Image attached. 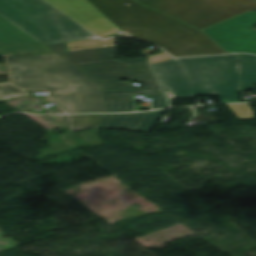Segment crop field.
Wrapping results in <instances>:
<instances>
[{
    "label": "crop field",
    "mask_w": 256,
    "mask_h": 256,
    "mask_svg": "<svg viewBox=\"0 0 256 256\" xmlns=\"http://www.w3.org/2000/svg\"><path fill=\"white\" fill-rule=\"evenodd\" d=\"M7 60L13 85L49 90L52 100L66 113L104 112L100 86L59 55L17 56Z\"/></svg>",
    "instance_id": "obj_1"
},
{
    "label": "crop field",
    "mask_w": 256,
    "mask_h": 256,
    "mask_svg": "<svg viewBox=\"0 0 256 256\" xmlns=\"http://www.w3.org/2000/svg\"><path fill=\"white\" fill-rule=\"evenodd\" d=\"M88 1L127 35L161 45L175 57L226 53L198 29L134 0Z\"/></svg>",
    "instance_id": "obj_2"
},
{
    "label": "crop field",
    "mask_w": 256,
    "mask_h": 256,
    "mask_svg": "<svg viewBox=\"0 0 256 256\" xmlns=\"http://www.w3.org/2000/svg\"><path fill=\"white\" fill-rule=\"evenodd\" d=\"M153 68L171 104L173 99L197 95L220 96L221 103L239 102L238 55L171 59Z\"/></svg>",
    "instance_id": "obj_3"
},
{
    "label": "crop field",
    "mask_w": 256,
    "mask_h": 256,
    "mask_svg": "<svg viewBox=\"0 0 256 256\" xmlns=\"http://www.w3.org/2000/svg\"><path fill=\"white\" fill-rule=\"evenodd\" d=\"M48 46L102 86L106 112L136 111L140 90L118 79L156 80L146 58L118 61L115 47L66 52V43Z\"/></svg>",
    "instance_id": "obj_4"
},
{
    "label": "crop field",
    "mask_w": 256,
    "mask_h": 256,
    "mask_svg": "<svg viewBox=\"0 0 256 256\" xmlns=\"http://www.w3.org/2000/svg\"><path fill=\"white\" fill-rule=\"evenodd\" d=\"M0 14L42 43L96 37L44 0H0Z\"/></svg>",
    "instance_id": "obj_5"
},
{
    "label": "crop field",
    "mask_w": 256,
    "mask_h": 256,
    "mask_svg": "<svg viewBox=\"0 0 256 256\" xmlns=\"http://www.w3.org/2000/svg\"><path fill=\"white\" fill-rule=\"evenodd\" d=\"M200 30L256 8V0H139Z\"/></svg>",
    "instance_id": "obj_6"
},
{
    "label": "crop field",
    "mask_w": 256,
    "mask_h": 256,
    "mask_svg": "<svg viewBox=\"0 0 256 256\" xmlns=\"http://www.w3.org/2000/svg\"><path fill=\"white\" fill-rule=\"evenodd\" d=\"M256 12H247L204 31L228 53L256 54ZM208 36V37H209Z\"/></svg>",
    "instance_id": "obj_7"
},
{
    "label": "crop field",
    "mask_w": 256,
    "mask_h": 256,
    "mask_svg": "<svg viewBox=\"0 0 256 256\" xmlns=\"http://www.w3.org/2000/svg\"><path fill=\"white\" fill-rule=\"evenodd\" d=\"M45 1L98 37H103L120 30L87 0Z\"/></svg>",
    "instance_id": "obj_8"
},
{
    "label": "crop field",
    "mask_w": 256,
    "mask_h": 256,
    "mask_svg": "<svg viewBox=\"0 0 256 256\" xmlns=\"http://www.w3.org/2000/svg\"><path fill=\"white\" fill-rule=\"evenodd\" d=\"M39 42L0 15V57L45 54Z\"/></svg>",
    "instance_id": "obj_9"
},
{
    "label": "crop field",
    "mask_w": 256,
    "mask_h": 256,
    "mask_svg": "<svg viewBox=\"0 0 256 256\" xmlns=\"http://www.w3.org/2000/svg\"><path fill=\"white\" fill-rule=\"evenodd\" d=\"M163 111L106 115L100 128H124L148 133L151 132Z\"/></svg>",
    "instance_id": "obj_10"
},
{
    "label": "crop field",
    "mask_w": 256,
    "mask_h": 256,
    "mask_svg": "<svg viewBox=\"0 0 256 256\" xmlns=\"http://www.w3.org/2000/svg\"><path fill=\"white\" fill-rule=\"evenodd\" d=\"M243 87L250 89L251 83H256V56L240 55Z\"/></svg>",
    "instance_id": "obj_11"
},
{
    "label": "crop field",
    "mask_w": 256,
    "mask_h": 256,
    "mask_svg": "<svg viewBox=\"0 0 256 256\" xmlns=\"http://www.w3.org/2000/svg\"><path fill=\"white\" fill-rule=\"evenodd\" d=\"M103 115H72L66 116L69 120L70 131L86 130L98 127Z\"/></svg>",
    "instance_id": "obj_12"
},
{
    "label": "crop field",
    "mask_w": 256,
    "mask_h": 256,
    "mask_svg": "<svg viewBox=\"0 0 256 256\" xmlns=\"http://www.w3.org/2000/svg\"><path fill=\"white\" fill-rule=\"evenodd\" d=\"M70 51L74 50H83V49H92V48H102V47H111L115 46V38L108 40H95V41H84V42H73L67 43ZM71 46H80L77 49H71Z\"/></svg>",
    "instance_id": "obj_13"
},
{
    "label": "crop field",
    "mask_w": 256,
    "mask_h": 256,
    "mask_svg": "<svg viewBox=\"0 0 256 256\" xmlns=\"http://www.w3.org/2000/svg\"><path fill=\"white\" fill-rule=\"evenodd\" d=\"M32 97L28 93L23 90H19L13 86L9 82L0 84V98L5 101L16 99V98H28Z\"/></svg>",
    "instance_id": "obj_14"
},
{
    "label": "crop field",
    "mask_w": 256,
    "mask_h": 256,
    "mask_svg": "<svg viewBox=\"0 0 256 256\" xmlns=\"http://www.w3.org/2000/svg\"><path fill=\"white\" fill-rule=\"evenodd\" d=\"M146 85L141 89L142 94H162L156 81H139Z\"/></svg>",
    "instance_id": "obj_15"
},
{
    "label": "crop field",
    "mask_w": 256,
    "mask_h": 256,
    "mask_svg": "<svg viewBox=\"0 0 256 256\" xmlns=\"http://www.w3.org/2000/svg\"><path fill=\"white\" fill-rule=\"evenodd\" d=\"M154 109L169 107L163 95H152Z\"/></svg>",
    "instance_id": "obj_16"
},
{
    "label": "crop field",
    "mask_w": 256,
    "mask_h": 256,
    "mask_svg": "<svg viewBox=\"0 0 256 256\" xmlns=\"http://www.w3.org/2000/svg\"><path fill=\"white\" fill-rule=\"evenodd\" d=\"M150 59H151V63L153 64V63H157L167 59H171V57L167 55L165 52H163L157 55L150 56Z\"/></svg>",
    "instance_id": "obj_17"
},
{
    "label": "crop field",
    "mask_w": 256,
    "mask_h": 256,
    "mask_svg": "<svg viewBox=\"0 0 256 256\" xmlns=\"http://www.w3.org/2000/svg\"><path fill=\"white\" fill-rule=\"evenodd\" d=\"M37 46H39L46 54L54 53L53 51H51L49 48H47L44 45H37Z\"/></svg>",
    "instance_id": "obj_18"
},
{
    "label": "crop field",
    "mask_w": 256,
    "mask_h": 256,
    "mask_svg": "<svg viewBox=\"0 0 256 256\" xmlns=\"http://www.w3.org/2000/svg\"><path fill=\"white\" fill-rule=\"evenodd\" d=\"M252 11H256V9L252 10Z\"/></svg>",
    "instance_id": "obj_19"
},
{
    "label": "crop field",
    "mask_w": 256,
    "mask_h": 256,
    "mask_svg": "<svg viewBox=\"0 0 256 256\" xmlns=\"http://www.w3.org/2000/svg\"><path fill=\"white\" fill-rule=\"evenodd\" d=\"M0 101H3V100L0 99Z\"/></svg>",
    "instance_id": "obj_20"
}]
</instances>
